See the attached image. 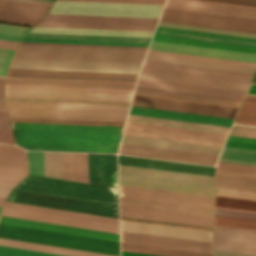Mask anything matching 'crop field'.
Returning <instances> with one entry per match:
<instances>
[{"instance_id": "crop-field-1", "label": "crop field", "mask_w": 256, "mask_h": 256, "mask_svg": "<svg viewBox=\"0 0 256 256\" xmlns=\"http://www.w3.org/2000/svg\"><path fill=\"white\" fill-rule=\"evenodd\" d=\"M6 200L118 218L117 189L102 186L28 175Z\"/></svg>"}, {"instance_id": "crop-field-2", "label": "crop field", "mask_w": 256, "mask_h": 256, "mask_svg": "<svg viewBox=\"0 0 256 256\" xmlns=\"http://www.w3.org/2000/svg\"><path fill=\"white\" fill-rule=\"evenodd\" d=\"M9 117L124 122L128 111L6 106ZM9 118L12 129L121 134L124 123Z\"/></svg>"}, {"instance_id": "crop-field-3", "label": "crop field", "mask_w": 256, "mask_h": 256, "mask_svg": "<svg viewBox=\"0 0 256 256\" xmlns=\"http://www.w3.org/2000/svg\"><path fill=\"white\" fill-rule=\"evenodd\" d=\"M229 128L129 114L124 133L222 146Z\"/></svg>"}, {"instance_id": "crop-field-4", "label": "crop field", "mask_w": 256, "mask_h": 256, "mask_svg": "<svg viewBox=\"0 0 256 256\" xmlns=\"http://www.w3.org/2000/svg\"><path fill=\"white\" fill-rule=\"evenodd\" d=\"M26 149L116 153L120 136L110 134L12 130Z\"/></svg>"}, {"instance_id": "crop-field-5", "label": "crop field", "mask_w": 256, "mask_h": 256, "mask_svg": "<svg viewBox=\"0 0 256 256\" xmlns=\"http://www.w3.org/2000/svg\"><path fill=\"white\" fill-rule=\"evenodd\" d=\"M131 105L199 113V114H207V115H215V116H223V117H231V118L235 117L238 109L235 107H227V106L167 99V98H160V97H152V96H145V95H137V94H134L133 102ZM129 113L180 119V120H187V121H195V122H203V123H211V124H219V125H227V126H230L233 121V119H230V118H222V117H214V116H206V115H198V114H190V113H182V112H174V111H166V110H158V109H150V108H142V107H134V106H131Z\"/></svg>"}, {"instance_id": "crop-field-6", "label": "crop field", "mask_w": 256, "mask_h": 256, "mask_svg": "<svg viewBox=\"0 0 256 256\" xmlns=\"http://www.w3.org/2000/svg\"><path fill=\"white\" fill-rule=\"evenodd\" d=\"M119 185L212 196L213 177L119 165Z\"/></svg>"}, {"instance_id": "crop-field-7", "label": "crop field", "mask_w": 256, "mask_h": 256, "mask_svg": "<svg viewBox=\"0 0 256 256\" xmlns=\"http://www.w3.org/2000/svg\"><path fill=\"white\" fill-rule=\"evenodd\" d=\"M146 51L19 45L13 57L142 63Z\"/></svg>"}, {"instance_id": "crop-field-8", "label": "crop field", "mask_w": 256, "mask_h": 256, "mask_svg": "<svg viewBox=\"0 0 256 256\" xmlns=\"http://www.w3.org/2000/svg\"><path fill=\"white\" fill-rule=\"evenodd\" d=\"M0 237L119 255V242L0 224Z\"/></svg>"}, {"instance_id": "crop-field-9", "label": "crop field", "mask_w": 256, "mask_h": 256, "mask_svg": "<svg viewBox=\"0 0 256 256\" xmlns=\"http://www.w3.org/2000/svg\"><path fill=\"white\" fill-rule=\"evenodd\" d=\"M132 91L6 84L5 96L130 101Z\"/></svg>"}, {"instance_id": "crop-field-10", "label": "crop field", "mask_w": 256, "mask_h": 256, "mask_svg": "<svg viewBox=\"0 0 256 256\" xmlns=\"http://www.w3.org/2000/svg\"><path fill=\"white\" fill-rule=\"evenodd\" d=\"M162 6L56 0L49 13L158 18Z\"/></svg>"}, {"instance_id": "crop-field-11", "label": "crop field", "mask_w": 256, "mask_h": 256, "mask_svg": "<svg viewBox=\"0 0 256 256\" xmlns=\"http://www.w3.org/2000/svg\"><path fill=\"white\" fill-rule=\"evenodd\" d=\"M158 19L48 14L37 26L153 31Z\"/></svg>"}, {"instance_id": "crop-field-12", "label": "crop field", "mask_w": 256, "mask_h": 256, "mask_svg": "<svg viewBox=\"0 0 256 256\" xmlns=\"http://www.w3.org/2000/svg\"><path fill=\"white\" fill-rule=\"evenodd\" d=\"M153 39L256 52V39L158 27Z\"/></svg>"}, {"instance_id": "crop-field-13", "label": "crop field", "mask_w": 256, "mask_h": 256, "mask_svg": "<svg viewBox=\"0 0 256 256\" xmlns=\"http://www.w3.org/2000/svg\"><path fill=\"white\" fill-rule=\"evenodd\" d=\"M141 64L12 58L8 68L137 74Z\"/></svg>"}, {"instance_id": "crop-field-14", "label": "crop field", "mask_w": 256, "mask_h": 256, "mask_svg": "<svg viewBox=\"0 0 256 256\" xmlns=\"http://www.w3.org/2000/svg\"><path fill=\"white\" fill-rule=\"evenodd\" d=\"M159 21L256 33V19L165 8Z\"/></svg>"}, {"instance_id": "crop-field-15", "label": "crop field", "mask_w": 256, "mask_h": 256, "mask_svg": "<svg viewBox=\"0 0 256 256\" xmlns=\"http://www.w3.org/2000/svg\"><path fill=\"white\" fill-rule=\"evenodd\" d=\"M140 88L189 93L229 99L241 100L245 91L219 87L203 86L181 82L165 81L150 78H138L137 86Z\"/></svg>"}, {"instance_id": "crop-field-16", "label": "crop field", "mask_w": 256, "mask_h": 256, "mask_svg": "<svg viewBox=\"0 0 256 256\" xmlns=\"http://www.w3.org/2000/svg\"><path fill=\"white\" fill-rule=\"evenodd\" d=\"M151 38L27 33L22 41L148 46Z\"/></svg>"}, {"instance_id": "crop-field-17", "label": "crop field", "mask_w": 256, "mask_h": 256, "mask_svg": "<svg viewBox=\"0 0 256 256\" xmlns=\"http://www.w3.org/2000/svg\"><path fill=\"white\" fill-rule=\"evenodd\" d=\"M119 153L211 164L219 155L121 143Z\"/></svg>"}, {"instance_id": "crop-field-18", "label": "crop field", "mask_w": 256, "mask_h": 256, "mask_svg": "<svg viewBox=\"0 0 256 256\" xmlns=\"http://www.w3.org/2000/svg\"><path fill=\"white\" fill-rule=\"evenodd\" d=\"M50 6L11 0H0V22L34 26L41 21Z\"/></svg>"}, {"instance_id": "crop-field-19", "label": "crop field", "mask_w": 256, "mask_h": 256, "mask_svg": "<svg viewBox=\"0 0 256 256\" xmlns=\"http://www.w3.org/2000/svg\"><path fill=\"white\" fill-rule=\"evenodd\" d=\"M137 75L8 69L7 77L135 82Z\"/></svg>"}, {"instance_id": "crop-field-20", "label": "crop field", "mask_w": 256, "mask_h": 256, "mask_svg": "<svg viewBox=\"0 0 256 256\" xmlns=\"http://www.w3.org/2000/svg\"><path fill=\"white\" fill-rule=\"evenodd\" d=\"M120 216L211 227L212 217L120 205Z\"/></svg>"}, {"instance_id": "crop-field-21", "label": "crop field", "mask_w": 256, "mask_h": 256, "mask_svg": "<svg viewBox=\"0 0 256 256\" xmlns=\"http://www.w3.org/2000/svg\"><path fill=\"white\" fill-rule=\"evenodd\" d=\"M120 196L212 208V197L119 186Z\"/></svg>"}, {"instance_id": "crop-field-22", "label": "crop field", "mask_w": 256, "mask_h": 256, "mask_svg": "<svg viewBox=\"0 0 256 256\" xmlns=\"http://www.w3.org/2000/svg\"><path fill=\"white\" fill-rule=\"evenodd\" d=\"M4 216L118 233V225L4 207Z\"/></svg>"}, {"instance_id": "crop-field-23", "label": "crop field", "mask_w": 256, "mask_h": 256, "mask_svg": "<svg viewBox=\"0 0 256 256\" xmlns=\"http://www.w3.org/2000/svg\"><path fill=\"white\" fill-rule=\"evenodd\" d=\"M149 49L256 62V53L155 40H152Z\"/></svg>"}, {"instance_id": "crop-field-24", "label": "crop field", "mask_w": 256, "mask_h": 256, "mask_svg": "<svg viewBox=\"0 0 256 256\" xmlns=\"http://www.w3.org/2000/svg\"><path fill=\"white\" fill-rule=\"evenodd\" d=\"M214 248L256 253V231L213 226Z\"/></svg>"}, {"instance_id": "crop-field-25", "label": "crop field", "mask_w": 256, "mask_h": 256, "mask_svg": "<svg viewBox=\"0 0 256 256\" xmlns=\"http://www.w3.org/2000/svg\"><path fill=\"white\" fill-rule=\"evenodd\" d=\"M121 241L212 253V243L121 231Z\"/></svg>"}, {"instance_id": "crop-field-26", "label": "crop field", "mask_w": 256, "mask_h": 256, "mask_svg": "<svg viewBox=\"0 0 256 256\" xmlns=\"http://www.w3.org/2000/svg\"><path fill=\"white\" fill-rule=\"evenodd\" d=\"M121 230L212 242L211 232L120 220Z\"/></svg>"}, {"instance_id": "crop-field-27", "label": "crop field", "mask_w": 256, "mask_h": 256, "mask_svg": "<svg viewBox=\"0 0 256 256\" xmlns=\"http://www.w3.org/2000/svg\"><path fill=\"white\" fill-rule=\"evenodd\" d=\"M89 183L117 187L116 155L88 153Z\"/></svg>"}, {"instance_id": "crop-field-28", "label": "crop field", "mask_w": 256, "mask_h": 256, "mask_svg": "<svg viewBox=\"0 0 256 256\" xmlns=\"http://www.w3.org/2000/svg\"><path fill=\"white\" fill-rule=\"evenodd\" d=\"M118 160H119V164H122V165H130V166H138V167H146V168H154V169H162V170H170V171H178V172H186V173H194V174H202V175H210V176H213V171H214V167H210V166L170 162V161H163V160L123 156V155H118Z\"/></svg>"}, {"instance_id": "crop-field-29", "label": "crop field", "mask_w": 256, "mask_h": 256, "mask_svg": "<svg viewBox=\"0 0 256 256\" xmlns=\"http://www.w3.org/2000/svg\"><path fill=\"white\" fill-rule=\"evenodd\" d=\"M0 223L119 241L118 234H115V233L82 229V228H76V227L30 221V220H23V219L10 218V217H4V216L0 217Z\"/></svg>"}, {"instance_id": "crop-field-30", "label": "crop field", "mask_w": 256, "mask_h": 256, "mask_svg": "<svg viewBox=\"0 0 256 256\" xmlns=\"http://www.w3.org/2000/svg\"><path fill=\"white\" fill-rule=\"evenodd\" d=\"M165 5L256 16V8L196 1V0H167ZM165 7H168V6H165ZM168 8H176V7H168ZM176 9H184V8H176ZM184 10H192V9H184ZM192 11H200V10H192ZM200 12H208V11H200ZM208 13H216V12H208ZM216 14H224V13H216ZM224 15H232V14H224ZM232 16H240V15H232ZM240 17H248V16H240ZM248 18H256V17H248Z\"/></svg>"}, {"instance_id": "crop-field-31", "label": "crop field", "mask_w": 256, "mask_h": 256, "mask_svg": "<svg viewBox=\"0 0 256 256\" xmlns=\"http://www.w3.org/2000/svg\"><path fill=\"white\" fill-rule=\"evenodd\" d=\"M121 142L149 145V146L166 147V148H174V149H182V150L199 151V152H207V153H215V154H219L220 150L222 148L219 146L203 145V144L165 140V139L127 135V134L123 135Z\"/></svg>"}, {"instance_id": "crop-field-32", "label": "crop field", "mask_w": 256, "mask_h": 256, "mask_svg": "<svg viewBox=\"0 0 256 256\" xmlns=\"http://www.w3.org/2000/svg\"><path fill=\"white\" fill-rule=\"evenodd\" d=\"M6 83L123 88V89H133L135 84V83H123V82H97V81L45 80V79H19V78H7Z\"/></svg>"}, {"instance_id": "crop-field-33", "label": "crop field", "mask_w": 256, "mask_h": 256, "mask_svg": "<svg viewBox=\"0 0 256 256\" xmlns=\"http://www.w3.org/2000/svg\"><path fill=\"white\" fill-rule=\"evenodd\" d=\"M64 179L88 183L87 153L63 152Z\"/></svg>"}, {"instance_id": "crop-field-34", "label": "crop field", "mask_w": 256, "mask_h": 256, "mask_svg": "<svg viewBox=\"0 0 256 256\" xmlns=\"http://www.w3.org/2000/svg\"><path fill=\"white\" fill-rule=\"evenodd\" d=\"M0 245L38 250V251H44V252H51V253H58V254H64V255H71V256H116V255H110V254L96 253V252H90V251H83V250H77V249L50 246V245L4 239V238H0Z\"/></svg>"}, {"instance_id": "crop-field-35", "label": "crop field", "mask_w": 256, "mask_h": 256, "mask_svg": "<svg viewBox=\"0 0 256 256\" xmlns=\"http://www.w3.org/2000/svg\"><path fill=\"white\" fill-rule=\"evenodd\" d=\"M120 204L212 216V209L120 197Z\"/></svg>"}, {"instance_id": "crop-field-36", "label": "crop field", "mask_w": 256, "mask_h": 256, "mask_svg": "<svg viewBox=\"0 0 256 256\" xmlns=\"http://www.w3.org/2000/svg\"><path fill=\"white\" fill-rule=\"evenodd\" d=\"M29 32L151 37L153 32L35 27Z\"/></svg>"}, {"instance_id": "crop-field-37", "label": "crop field", "mask_w": 256, "mask_h": 256, "mask_svg": "<svg viewBox=\"0 0 256 256\" xmlns=\"http://www.w3.org/2000/svg\"><path fill=\"white\" fill-rule=\"evenodd\" d=\"M134 93L182 99V100H190V101H197V102H205V103H212V104H220V105H227V106H235V107H238L241 102L237 100L188 95V94H180V93H172V92H164V91H156V90H148V89H140V88H136Z\"/></svg>"}, {"instance_id": "crop-field-38", "label": "crop field", "mask_w": 256, "mask_h": 256, "mask_svg": "<svg viewBox=\"0 0 256 256\" xmlns=\"http://www.w3.org/2000/svg\"><path fill=\"white\" fill-rule=\"evenodd\" d=\"M121 250L163 256H212V254L209 253L193 252L124 242H121Z\"/></svg>"}, {"instance_id": "crop-field-39", "label": "crop field", "mask_w": 256, "mask_h": 256, "mask_svg": "<svg viewBox=\"0 0 256 256\" xmlns=\"http://www.w3.org/2000/svg\"><path fill=\"white\" fill-rule=\"evenodd\" d=\"M4 206L118 224V219H115V218L90 215V214H84V213H78V212H71V211H65V210H59V209H53V208H46V207H40V206H34V205H27V204H21V203L9 202V201H6Z\"/></svg>"}, {"instance_id": "crop-field-40", "label": "crop field", "mask_w": 256, "mask_h": 256, "mask_svg": "<svg viewBox=\"0 0 256 256\" xmlns=\"http://www.w3.org/2000/svg\"><path fill=\"white\" fill-rule=\"evenodd\" d=\"M0 165L28 169L25 150L16 145L0 143Z\"/></svg>"}, {"instance_id": "crop-field-41", "label": "crop field", "mask_w": 256, "mask_h": 256, "mask_svg": "<svg viewBox=\"0 0 256 256\" xmlns=\"http://www.w3.org/2000/svg\"><path fill=\"white\" fill-rule=\"evenodd\" d=\"M215 187L256 192V179L215 174Z\"/></svg>"}, {"instance_id": "crop-field-42", "label": "crop field", "mask_w": 256, "mask_h": 256, "mask_svg": "<svg viewBox=\"0 0 256 256\" xmlns=\"http://www.w3.org/2000/svg\"><path fill=\"white\" fill-rule=\"evenodd\" d=\"M28 173V170L0 166V181L17 183ZM0 182V206L3 205L6 195L15 184ZM19 183V182H18Z\"/></svg>"}, {"instance_id": "crop-field-43", "label": "crop field", "mask_w": 256, "mask_h": 256, "mask_svg": "<svg viewBox=\"0 0 256 256\" xmlns=\"http://www.w3.org/2000/svg\"><path fill=\"white\" fill-rule=\"evenodd\" d=\"M147 54L158 55V56H166V57H174V58H182V59H189V60H197V61H205V62H213V63H220V64H228V65H236V66H244V67H252V68L256 67V63L245 62V61H237V60L211 58V57L186 55V54H178V53H169V52H161V51H153V50H149Z\"/></svg>"}, {"instance_id": "crop-field-44", "label": "crop field", "mask_w": 256, "mask_h": 256, "mask_svg": "<svg viewBox=\"0 0 256 256\" xmlns=\"http://www.w3.org/2000/svg\"><path fill=\"white\" fill-rule=\"evenodd\" d=\"M218 161L256 165V151L224 147Z\"/></svg>"}, {"instance_id": "crop-field-45", "label": "crop field", "mask_w": 256, "mask_h": 256, "mask_svg": "<svg viewBox=\"0 0 256 256\" xmlns=\"http://www.w3.org/2000/svg\"><path fill=\"white\" fill-rule=\"evenodd\" d=\"M5 101L92 104V105H117V106H129V104H130V102H118V101L67 100V99L17 98V97H5Z\"/></svg>"}, {"instance_id": "crop-field-46", "label": "crop field", "mask_w": 256, "mask_h": 256, "mask_svg": "<svg viewBox=\"0 0 256 256\" xmlns=\"http://www.w3.org/2000/svg\"><path fill=\"white\" fill-rule=\"evenodd\" d=\"M214 207L256 212V200L214 195Z\"/></svg>"}, {"instance_id": "crop-field-47", "label": "crop field", "mask_w": 256, "mask_h": 256, "mask_svg": "<svg viewBox=\"0 0 256 256\" xmlns=\"http://www.w3.org/2000/svg\"><path fill=\"white\" fill-rule=\"evenodd\" d=\"M145 59L253 73L255 69L147 55Z\"/></svg>"}, {"instance_id": "crop-field-48", "label": "crop field", "mask_w": 256, "mask_h": 256, "mask_svg": "<svg viewBox=\"0 0 256 256\" xmlns=\"http://www.w3.org/2000/svg\"><path fill=\"white\" fill-rule=\"evenodd\" d=\"M45 176L63 179L62 152H44Z\"/></svg>"}, {"instance_id": "crop-field-49", "label": "crop field", "mask_w": 256, "mask_h": 256, "mask_svg": "<svg viewBox=\"0 0 256 256\" xmlns=\"http://www.w3.org/2000/svg\"><path fill=\"white\" fill-rule=\"evenodd\" d=\"M213 225L256 230V221L214 216Z\"/></svg>"}, {"instance_id": "crop-field-50", "label": "crop field", "mask_w": 256, "mask_h": 256, "mask_svg": "<svg viewBox=\"0 0 256 256\" xmlns=\"http://www.w3.org/2000/svg\"><path fill=\"white\" fill-rule=\"evenodd\" d=\"M5 105L67 107V108H92V109H116V110H128V108H129V107H117V106H92V105H67V104L17 103V102H5Z\"/></svg>"}, {"instance_id": "crop-field-51", "label": "crop field", "mask_w": 256, "mask_h": 256, "mask_svg": "<svg viewBox=\"0 0 256 256\" xmlns=\"http://www.w3.org/2000/svg\"><path fill=\"white\" fill-rule=\"evenodd\" d=\"M235 120L256 123V101L244 99Z\"/></svg>"}, {"instance_id": "crop-field-52", "label": "crop field", "mask_w": 256, "mask_h": 256, "mask_svg": "<svg viewBox=\"0 0 256 256\" xmlns=\"http://www.w3.org/2000/svg\"><path fill=\"white\" fill-rule=\"evenodd\" d=\"M158 26L170 27V28H179V29H187V30H196V31H204V32L221 33V34H229V35H238V36H246V37H255L256 38V34L226 31V30H218V29H210V28H202V27H194V26H186V25H178V24H170V23H162V22H159Z\"/></svg>"}, {"instance_id": "crop-field-53", "label": "crop field", "mask_w": 256, "mask_h": 256, "mask_svg": "<svg viewBox=\"0 0 256 256\" xmlns=\"http://www.w3.org/2000/svg\"><path fill=\"white\" fill-rule=\"evenodd\" d=\"M145 61H147V62H155V63H163V64H171V65H179V66H186V67H194V68H202V69H210V70H217V71H225V72H233V73H241V74H249V75H252V74H250V73H242V72L218 70V69L203 68V67H195V66H187V65L172 64V63H164V62H156V61H148V60H145ZM147 62H144L143 64L251 78V76H249V75H241V74L217 72V71L202 70V69H194V68H186V67L171 66V65H163V64H155V63H147Z\"/></svg>"}, {"instance_id": "crop-field-54", "label": "crop field", "mask_w": 256, "mask_h": 256, "mask_svg": "<svg viewBox=\"0 0 256 256\" xmlns=\"http://www.w3.org/2000/svg\"><path fill=\"white\" fill-rule=\"evenodd\" d=\"M29 174L44 176L43 152L27 151Z\"/></svg>"}, {"instance_id": "crop-field-55", "label": "crop field", "mask_w": 256, "mask_h": 256, "mask_svg": "<svg viewBox=\"0 0 256 256\" xmlns=\"http://www.w3.org/2000/svg\"><path fill=\"white\" fill-rule=\"evenodd\" d=\"M0 256H64L25 249L0 246Z\"/></svg>"}, {"instance_id": "crop-field-56", "label": "crop field", "mask_w": 256, "mask_h": 256, "mask_svg": "<svg viewBox=\"0 0 256 256\" xmlns=\"http://www.w3.org/2000/svg\"><path fill=\"white\" fill-rule=\"evenodd\" d=\"M224 146L256 150V139L229 136Z\"/></svg>"}, {"instance_id": "crop-field-57", "label": "crop field", "mask_w": 256, "mask_h": 256, "mask_svg": "<svg viewBox=\"0 0 256 256\" xmlns=\"http://www.w3.org/2000/svg\"><path fill=\"white\" fill-rule=\"evenodd\" d=\"M0 142L14 144L6 111L2 109H0Z\"/></svg>"}, {"instance_id": "crop-field-58", "label": "crop field", "mask_w": 256, "mask_h": 256, "mask_svg": "<svg viewBox=\"0 0 256 256\" xmlns=\"http://www.w3.org/2000/svg\"><path fill=\"white\" fill-rule=\"evenodd\" d=\"M214 215L256 220V213L214 208Z\"/></svg>"}, {"instance_id": "crop-field-59", "label": "crop field", "mask_w": 256, "mask_h": 256, "mask_svg": "<svg viewBox=\"0 0 256 256\" xmlns=\"http://www.w3.org/2000/svg\"><path fill=\"white\" fill-rule=\"evenodd\" d=\"M229 135L256 138V127L233 124Z\"/></svg>"}, {"instance_id": "crop-field-60", "label": "crop field", "mask_w": 256, "mask_h": 256, "mask_svg": "<svg viewBox=\"0 0 256 256\" xmlns=\"http://www.w3.org/2000/svg\"><path fill=\"white\" fill-rule=\"evenodd\" d=\"M21 44H32V45H58V46H84V47H109V48H135V49H147V48H148V47H136V46H110V45L34 43V42H21Z\"/></svg>"}, {"instance_id": "crop-field-61", "label": "crop field", "mask_w": 256, "mask_h": 256, "mask_svg": "<svg viewBox=\"0 0 256 256\" xmlns=\"http://www.w3.org/2000/svg\"><path fill=\"white\" fill-rule=\"evenodd\" d=\"M214 194L256 199V193L215 188Z\"/></svg>"}, {"instance_id": "crop-field-62", "label": "crop field", "mask_w": 256, "mask_h": 256, "mask_svg": "<svg viewBox=\"0 0 256 256\" xmlns=\"http://www.w3.org/2000/svg\"><path fill=\"white\" fill-rule=\"evenodd\" d=\"M216 168L256 173V166L218 162Z\"/></svg>"}, {"instance_id": "crop-field-63", "label": "crop field", "mask_w": 256, "mask_h": 256, "mask_svg": "<svg viewBox=\"0 0 256 256\" xmlns=\"http://www.w3.org/2000/svg\"><path fill=\"white\" fill-rule=\"evenodd\" d=\"M30 29L31 28L29 27L0 24V33H5V34L24 36V34Z\"/></svg>"}, {"instance_id": "crop-field-64", "label": "crop field", "mask_w": 256, "mask_h": 256, "mask_svg": "<svg viewBox=\"0 0 256 256\" xmlns=\"http://www.w3.org/2000/svg\"><path fill=\"white\" fill-rule=\"evenodd\" d=\"M120 219L211 231V228H207V227L182 225V224H174V223H165V222H157V221H149V220H140V219H132V218H124V217H120Z\"/></svg>"}, {"instance_id": "crop-field-65", "label": "crop field", "mask_w": 256, "mask_h": 256, "mask_svg": "<svg viewBox=\"0 0 256 256\" xmlns=\"http://www.w3.org/2000/svg\"><path fill=\"white\" fill-rule=\"evenodd\" d=\"M14 51L0 49V74L5 75L7 63Z\"/></svg>"}, {"instance_id": "crop-field-66", "label": "crop field", "mask_w": 256, "mask_h": 256, "mask_svg": "<svg viewBox=\"0 0 256 256\" xmlns=\"http://www.w3.org/2000/svg\"><path fill=\"white\" fill-rule=\"evenodd\" d=\"M205 1H213V2H221V3H229V4H237V5L256 7V0H205Z\"/></svg>"}, {"instance_id": "crop-field-67", "label": "crop field", "mask_w": 256, "mask_h": 256, "mask_svg": "<svg viewBox=\"0 0 256 256\" xmlns=\"http://www.w3.org/2000/svg\"><path fill=\"white\" fill-rule=\"evenodd\" d=\"M214 256H256V254L214 249Z\"/></svg>"}, {"instance_id": "crop-field-68", "label": "crop field", "mask_w": 256, "mask_h": 256, "mask_svg": "<svg viewBox=\"0 0 256 256\" xmlns=\"http://www.w3.org/2000/svg\"><path fill=\"white\" fill-rule=\"evenodd\" d=\"M88 1H110V2L153 3V4L164 3V0H88Z\"/></svg>"}, {"instance_id": "crop-field-69", "label": "crop field", "mask_w": 256, "mask_h": 256, "mask_svg": "<svg viewBox=\"0 0 256 256\" xmlns=\"http://www.w3.org/2000/svg\"><path fill=\"white\" fill-rule=\"evenodd\" d=\"M216 173L256 178V174H253V173L236 172V171H228V170H220V169H216Z\"/></svg>"}, {"instance_id": "crop-field-70", "label": "crop field", "mask_w": 256, "mask_h": 256, "mask_svg": "<svg viewBox=\"0 0 256 256\" xmlns=\"http://www.w3.org/2000/svg\"><path fill=\"white\" fill-rule=\"evenodd\" d=\"M17 44H18V42H16V41L0 39V48L15 50Z\"/></svg>"}, {"instance_id": "crop-field-71", "label": "crop field", "mask_w": 256, "mask_h": 256, "mask_svg": "<svg viewBox=\"0 0 256 256\" xmlns=\"http://www.w3.org/2000/svg\"><path fill=\"white\" fill-rule=\"evenodd\" d=\"M5 78L0 77V108L5 109L3 105V88H4Z\"/></svg>"}, {"instance_id": "crop-field-72", "label": "crop field", "mask_w": 256, "mask_h": 256, "mask_svg": "<svg viewBox=\"0 0 256 256\" xmlns=\"http://www.w3.org/2000/svg\"><path fill=\"white\" fill-rule=\"evenodd\" d=\"M18 1H26V2H33V3H40V4H48L51 5L53 1L51 0H18Z\"/></svg>"}, {"instance_id": "crop-field-73", "label": "crop field", "mask_w": 256, "mask_h": 256, "mask_svg": "<svg viewBox=\"0 0 256 256\" xmlns=\"http://www.w3.org/2000/svg\"><path fill=\"white\" fill-rule=\"evenodd\" d=\"M0 38H1V39H9V40L20 41V39H21L22 37H20V36H12V35L0 34Z\"/></svg>"}, {"instance_id": "crop-field-74", "label": "crop field", "mask_w": 256, "mask_h": 256, "mask_svg": "<svg viewBox=\"0 0 256 256\" xmlns=\"http://www.w3.org/2000/svg\"><path fill=\"white\" fill-rule=\"evenodd\" d=\"M121 256H155V255H147V254H140V253H132V252L121 251Z\"/></svg>"}, {"instance_id": "crop-field-75", "label": "crop field", "mask_w": 256, "mask_h": 256, "mask_svg": "<svg viewBox=\"0 0 256 256\" xmlns=\"http://www.w3.org/2000/svg\"><path fill=\"white\" fill-rule=\"evenodd\" d=\"M246 94L256 95V84L251 83Z\"/></svg>"}, {"instance_id": "crop-field-76", "label": "crop field", "mask_w": 256, "mask_h": 256, "mask_svg": "<svg viewBox=\"0 0 256 256\" xmlns=\"http://www.w3.org/2000/svg\"><path fill=\"white\" fill-rule=\"evenodd\" d=\"M234 123H239V124H247V125H255V123H247V122H239V121H235Z\"/></svg>"}, {"instance_id": "crop-field-77", "label": "crop field", "mask_w": 256, "mask_h": 256, "mask_svg": "<svg viewBox=\"0 0 256 256\" xmlns=\"http://www.w3.org/2000/svg\"><path fill=\"white\" fill-rule=\"evenodd\" d=\"M245 98H247V99H255L256 100V96L246 95Z\"/></svg>"}, {"instance_id": "crop-field-78", "label": "crop field", "mask_w": 256, "mask_h": 256, "mask_svg": "<svg viewBox=\"0 0 256 256\" xmlns=\"http://www.w3.org/2000/svg\"><path fill=\"white\" fill-rule=\"evenodd\" d=\"M251 82H255V83H256V71H255V73H254V76H253V79H252Z\"/></svg>"}, {"instance_id": "crop-field-79", "label": "crop field", "mask_w": 256, "mask_h": 256, "mask_svg": "<svg viewBox=\"0 0 256 256\" xmlns=\"http://www.w3.org/2000/svg\"><path fill=\"white\" fill-rule=\"evenodd\" d=\"M0 210H1V207H0Z\"/></svg>"}]
</instances>
